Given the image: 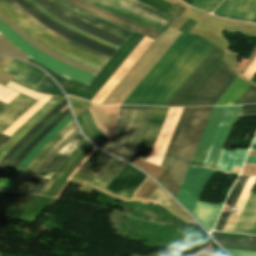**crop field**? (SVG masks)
<instances>
[{"label": "crop field", "mask_w": 256, "mask_h": 256, "mask_svg": "<svg viewBox=\"0 0 256 256\" xmlns=\"http://www.w3.org/2000/svg\"><path fill=\"white\" fill-rule=\"evenodd\" d=\"M222 204L212 205L198 202L192 215L209 231L215 222Z\"/></svg>", "instance_id": "730fd06b"}, {"label": "crop field", "mask_w": 256, "mask_h": 256, "mask_svg": "<svg viewBox=\"0 0 256 256\" xmlns=\"http://www.w3.org/2000/svg\"><path fill=\"white\" fill-rule=\"evenodd\" d=\"M250 149L256 150V137ZM245 163L256 164V156L248 155Z\"/></svg>", "instance_id": "25e5ab78"}, {"label": "crop field", "mask_w": 256, "mask_h": 256, "mask_svg": "<svg viewBox=\"0 0 256 256\" xmlns=\"http://www.w3.org/2000/svg\"><path fill=\"white\" fill-rule=\"evenodd\" d=\"M36 3H38L40 6H42L44 9H46L48 12L52 13L53 15H55L56 17L64 20L65 22L78 27L94 36H97L105 41H108L116 46H120L124 39L115 36L109 32H106L104 30H101L97 27H94L76 17H73L69 14H67L66 12H64L63 10L57 8L55 5H53L52 3L48 2L47 0H34Z\"/></svg>", "instance_id": "cbeb9de0"}, {"label": "crop field", "mask_w": 256, "mask_h": 256, "mask_svg": "<svg viewBox=\"0 0 256 256\" xmlns=\"http://www.w3.org/2000/svg\"><path fill=\"white\" fill-rule=\"evenodd\" d=\"M154 107L121 106L110 140L101 148L132 163Z\"/></svg>", "instance_id": "f4fd0767"}, {"label": "crop field", "mask_w": 256, "mask_h": 256, "mask_svg": "<svg viewBox=\"0 0 256 256\" xmlns=\"http://www.w3.org/2000/svg\"><path fill=\"white\" fill-rule=\"evenodd\" d=\"M249 84L236 79L235 82L229 87V89L223 94V96L217 101L215 105H230L235 104L238 98L248 88Z\"/></svg>", "instance_id": "1d83c4d3"}, {"label": "crop field", "mask_w": 256, "mask_h": 256, "mask_svg": "<svg viewBox=\"0 0 256 256\" xmlns=\"http://www.w3.org/2000/svg\"><path fill=\"white\" fill-rule=\"evenodd\" d=\"M214 47L182 32L123 104L166 106Z\"/></svg>", "instance_id": "8a807250"}, {"label": "crop field", "mask_w": 256, "mask_h": 256, "mask_svg": "<svg viewBox=\"0 0 256 256\" xmlns=\"http://www.w3.org/2000/svg\"><path fill=\"white\" fill-rule=\"evenodd\" d=\"M6 1L7 3L11 4L14 8H16L19 12H21L23 15H25L27 18H29L31 21H33L35 24H37L40 28H42L44 31L48 32L49 34L55 36L56 38H58L59 40L67 43V44H70L78 49H81L89 54H93V55H96L98 57H101V58H104V59H107L109 60L110 56H107V55H104L102 53H99V52H96V51H93V50H90V49H87V48H84L72 41H69L67 39H65L64 37L60 36L59 34L49 30L48 28L44 27L42 24H40L37 20H35L31 15H29L25 10H23L20 6L16 5L15 3L11 2L10 0H4Z\"/></svg>", "instance_id": "bd1437ed"}, {"label": "crop field", "mask_w": 256, "mask_h": 256, "mask_svg": "<svg viewBox=\"0 0 256 256\" xmlns=\"http://www.w3.org/2000/svg\"><path fill=\"white\" fill-rule=\"evenodd\" d=\"M49 1H51L53 4H55L57 7L61 8V9H63L64 11H66L82 20H85L99 28L109 31L115 35H118L124 39H126L132 33V31H130V30H127L118 25L109 23V22L101 20L93 15H90L87 12L73 6L72 4L68 3L65 0H49Z\"/></svg>", "instance_id": "bc2a9ffb"}, {"label": "crop field", "mask_w": 256, "mask_h": 256, "mask_svg": "<svg viewBox=\"0 0 256 256\" xmlns=\"http://www.w3.org/2000/svg\"><path fill=\"white\" fill-rule=\"evenodd\" d=\"M69 109L65 110L60 116H58L51 124H49L12 162L10 168H17L23 158L32 150V148L46 135L48 134L58 123H60L68 114Z\"/></svg>", "instance_id": "750c4746"}, {"label": "crop field", "mask_w": 256, "mask_h": 256, "mask_svg": "<svg viewBox=\"0 0 256 256\" xmlns=\"http://www.w3.org/2000/svg\"><path fill=\"white\" fill-rule=\"evenodd\" d=\"M84 138L79 134L74 136L69 142L57 153V155L50 161V163L44 168L41 174L37 177L34 183L28 190L29 193L39 194L43 187L48 182L51 175L65 159V157L83 140Z\"/></svg>", "instance_id": "4a817a6b"}, {"label": "crop field", "mask_w": 256, "mask_h": 256, "mask_svg": "<svg viewBox=\"0 0 256 256\" xmlns=\"http://www.w3.org/2000/svg\"><path fill=\"white\" fill-rule=\"evenodd\" d=\"M255 73H256V56L254 57L247 71L243 75L250 80Z\"/></svg>", "instance_id": "5d738f31"}, {"label": "crop field", "mask_w": 256, "mask_h": 256, "mask_svg": "<svg viewBox=\"0 0 256 256\" xmlns=\"http://www.w3.org/2000/svg\"><path fill=\"white\" fill-rule=\"evenodd\" d=\"M244 103H256V88L252 87L251 85L241 96V98L237 101L236 104Z\"/></svg>", "instance_id": "c035e120"}, {"label": "crop field", "mask_w": 256, "mask_h": 256, "mask_svg": "<svg viewBox=\"0 0 256 256\" xmlns=\"http://www.w3.org/2000/svg\"><path fill=\"white\" fill-rule=\"evenodd\" d=\"M35 197L34 195L25 194L8 216L19 219Z\"/></svg>", "instance_id": "0bd39190"}, {"label": "crop field", "mask_w": 256, "mask_h": 256, "mask_svg": "<svg viewBox=\"0 0 256 256\" xmlns=\"http://www.w3.org/2000/svg\"><path fill=\"white\" fill-rule=\"evenodd\" d=\"M232 256H256V252L229 250L226 249Z\"/></svg>", "instance_id": "425ffa30"}, {"label": "crop field", "mask_w": 256, "mask_h": 256, "mask_svg": "<svg viewBox=\"0 0 256 256\" xmlns=\"http://www.w3.org/2000/svg\"><path fill=\"white\" fill-rule=\"evenodd\" d=\"M36 92L64 98L59 87L47 75L37 87Z\"/></svg>", "instance_id": "028f5c9d"}, {"label": "crop field", "mask_w": 256, "mask_h": 256, "mask_svg": "<svg viewBox=\"0 0 256 256\" xmlns=\"http://www.w3.org/2000/svg\"><path fill=\"white\" fill-rule=\"evenodd\" d=\"M213 107L184 108L161 167L167 168L156 180L176 197L186 170Z\"/></svg>", "instance_id": "ac0d7876"}, {"label": "crop field", "mask_w": 256, "mask_h": 256, "mask_svg": "<svg viewBox=\"0 0 256 256\" xmlns=\"http://www.w3.org/2000/svg\"><path fill=\"white\" fill-rule=\"evenodd\" d=\"M26 1L29 2V3H31L32 5H34L37 9H39L42 13H44L45 15H47L49 18H51L52 20H54V21L58 22L59 24L65 26L66 28H68V29H70V30H72V31H74V32H76V33H78V34H81V35H83V36H85V37H88V38H90V39H93V40H95V41H97V42H100V43H102V44H104V45H106V46H109V47H111V48H113V49H115V50L118 49V47H116V46H114V45H112V44H110V43H107V42H105V41H103V40H101V39H99V38H97V37H94V36H92V35H90V34L84 32V31H82V30H80V29H78V28H75V27H73V26H71V25L65 23L64 21H62V20L56 18L55 16L51 15V14L48 13L46 10H44L42 7H40L38 4H36L34 1H32V0H26Z\"/></svg>", "instance_id": "5866460e"}, {"label": "crop field", "mask_w": 256, "mask_h": 256, "mask_svg": "<svg viewBox=\"0 0 256 256\" xmlns=\"http://www.w3.org/2000/svg\"><path fill=\"white\" fill-rule=\"evenodd\" d=\"M65 99L58 104L52 111H50L40 122L32 127V129L16 144L14 145L5 155L0 163V173L5 167L12 155L42 126L44 125L53 115H55L62 107L66 105Z\"/></svg>", "instance_id": "ae1a2a85"}, {"label": "crop field", "mask_w": 256, "mask_h": 256, "mask_svg": "<svg viewBox=\"0 0 256 256\" xmlns=\"http://www.w3.org/2000/svg\"><path fill=\"white\" fill-rule=\"evenodd\" d=\"M89 143L84 139L68 156L67 158L62 162V164L58 167V169L55 171V173L52 175L50 181L47 183V185L44 187V189L41 191V195H44V193L47 191L49 186L52 184V182L55 180L56 177H60V175L64 172V170L68 167V165L71 163V161L88 145Z\"/></svg>", "instance_id": "d32e631a"}, {"label": "crop field", "mask_w": 256, "mask_h": 256, "mask_svg": "<svg viewBox=\"0 0 256 256\" xmlns=\"http://www.w3.org/2000/svg\"><path fill=\"white\" fill-rule=\"evenodd\" d=\"M254 22H256V19H255V21Z\"/></svg>", "instance_id": "dbb93151"}, {"label": "crop field", "mask_w": 256, "mask_h": 256, "mask_svg": "<svg viewBox=\"0 0 256 256\" xmlns=\"http://www.w3.org/2000/svg\"><path fill=\"white\" fill-rule=\"evenodd\" d=\"M183 1L190 5L194 0H183Z\"/></svg>", "instance_id": "89e229c0"}, {"label": "crop field", "mask_w": 256, "mask_h": 256, "mask_svg": "<svg viewBox=\"0 0 256 256\" xmlns=\"http://www.w3.org/2000/svg\"><path fill=\"white\" fill-rule=\"evenodd\" d=\"M146 177L135 168L126 164L111 182L107 191L132 198Z\"/></svg>", "instance_id": "5142ce71"}, {"label": "crop field", "mask_w": 256, "mask_h": 256, "mask_svg": "<svg viewBox=\"0 0 256 256\" xmlns=\"http://www.w3.org/2000/svg\"><path fill=\"white\" fill-rule=\"evenodd\" d=\"M15 2L16 4L20 5L22 8H24L28 13H30L34 18H36L40 23H42L44 26L54 30L55 32L59 33L60 35L79 43L83 46H86L90 49L102 52L104 54L112 56L115 50L108 48L102 44H99L95 41H92L88 38H85L81 35H78L65 27L59 25L58 23L52 21L48 17H46L44 14H42L39 10H37L34 6L30 5L24 0H11Z\"/></svg>", "instance_id": "22f410ed"}, {"label": "crop field", "mask_w": 256, "mask_h": 256, "mask_svg": "<svg viewBox=\"0 0 256 256\" xmlns=\"http://www.w3.org/2000/svg\"><path fill=\"white\" fill-rule=\"evenodd\" d=\"M83 133L86 135V137L91 140L93 143L97 145H102L106 141H108L102 133L98 130V128L95 126L90 112L87 110L78 117H76Z\"/></svg>", "instance_id": "eef30255"}, {"label": "crop field", "mask_w": 256, "mask_h": 256, "mask_svg": "<svg viewBox=\"0 0 256 256\" xmlns=\"http://www.w3.org/2000/svg\"><path fill=\"white\" fill-rule=\"evenodd\" d=\"M125 164L126 163L113 157L112 160L106 165V167L94 179L93 183L106 189L112 179L117 175V173Z\"/></svg>", "instance_id": "d3111659"}, {"label": "crop field", "mask_w": 256, "mask_h": 256, "mask_svg": "<svg viewBox=\"0 0 256 256\" xmlns=\"http://www.w3.org/2000/svg\"><path fill=\"white\" fill-rule=\"evenodd\" d=\"M76 132H78V130L72 120L59 134L50 140L29 163L15 186L12 188V191L26 192L46 164Z\"/></svg>", "instance_id": "3316defc"}, {"label": "crop field", "mask_w": 256, "mask_h": 256, "mask_svg": "<svg viewBox=\"0 0 256 256\" xmlns=\"http://www.w3.org/2000/svg\"><path fill=\"white\" fill-rule=\"evenodd\" d=\"M67 1L86 10L90 14L96 15L104 20L118 24V25L123 26L127 29H130L132 31H135L140 34L151 37L153 39H155L157 36H159L161 34V32H159V31L145 27L143 25H140L138 23H135L133 21H130L128 19H125V18L115 15L113 13H110L108 11H105L101 8L93 7L82 0H67Z\"/></svg>", "instance_id": "d9b57169"}, {"label": "crop field", "mask_w": 256, "mask_h": 256, "mask_svg": "<svg viewBox=\"0 0 256 256\" xmlns=\"http://www.w3.org/2000/svg\"><path fill=\"white\" fill-rule=\"evenodd\" d=\"M214 238H215L219 243L256 247V242H255V241H245V240H236V239H227V238H217V237H214Z\"/></svg>", "instance_id": "c21b1889"}, {"label": "crop field", "mask_w": 256, "mask_h": 256, "mask_svg": "<svg viewBox=\"0 0 256 256\" xmlns=\"http://www.w3.org/2000/svg\"><path fill=\"white\" fill-rule=\"evenodd\" d=\"M161 188V187H160ZM158 187L157 191L152 197V200L161 202L163 204L168 205L169 207L180 211L181 213L189 216L166 192ZM190 217V216H189Z\"/></svg>", "instance_id": "e1f06a70"}, {"label": "crop field", "mask_w": 256, "mask_h": 256, "mask_svg": "<svg viewBox=\"0 0 256 256\" xmlns=\"http://www.w3.org/2000/svg\"><path fill=\"white\" fill-rule=\"evenodd\" d=\"M72 120L70 114L57 126L55 127L47 136H45L35 147L34 149L24 158L21 165L16 169L13 176L3 188V190H11L13 185L18 180L24 168L28 165V163L35 157V155L43 148V146L53 137L55 136L65 125H67Z\"/></svg>", "instance_id": "a9b5d70f"}, {"label": "crop field", "mask_w": 256, "mask_h": 256, "mask_svg": "<svg viewBox=\"0 0 256 256\" xmlns=\"http://www.w3.org/2000/svg\"><path fill=\"white\" fill-rule=\"evenodd\" d=\"M63 99L58 97H53L45 105H43L24 125H22L14 134L7 138L0 135V161L6 154V152L23 136L25 135L31 127L41 120L50 110H52L59 102Z\"/></svg>", "instance_id": "214f88e0"}, {"label": "crop field", "mask_w": 256, "mask_h": 256, "mask_svg": "<svg viewBox=\"0 0 256 256\" xmlns=\"http://www.w3.org/2000/svg\"><path fill=\"white\" fill-rule=\"evenodd\" d=\"M250 240H255L256 241V236L255 235H251Z\"/></svg>", "instance_id": "1f2cbd36"}, {"label": "crop field", "mask_w": 256, "mask_h": 256, "mask_svg": "<svg viewBox=\"0 0 256 256\" xmlns=\"http://www.w3.org/2000/svg\"><path fill=\"white\" fill-rule=\"evenodd\" d=\"M242 105L214 107L192 160L217 165L227 136ZM256 114V105H243L239 115ZM192 161V165L215 169V165Z\"/></svg>", "instance_id": "412701ff"}, {"label": "crop field", "mask_w": 256, "mask_h": 256, "mask_svg": "<svg viewBox=\"0 0 256 256\" xmlns=\"http://www.w3.org/2000/svg\"><path fill=\"white\" fill-rule=\"evenodd\" d=\"M6 86H8L10 88H13V89H15L17 91H20V92H22L24 94H27V95H29V96L37 99V100H39L43 96V94L32 92V91H30L28 89H25V88H23V87H21L19 85H16V84L12 83L10 81L6 84Z\"/></svg>", "instance_id": "03da06ac"}, {"label": "crop field", "mask_w": 256, "mask_h": 256, "mask_svg": "<svg viewBox=\"0 0 256 256\" xmlns=\"http://www.w3.org/2000/svg\"><path fill=\"white\" fill-rule=\"evenodd\" d=\"M232 231L256 233V193H250Z\"/></svg>", "instance_id": "00972430"}, {"label": "crop field", "mask_w": 256, "mask_h": 256, "mask_svg": "<svg viewBox=\"0 0 256 256\" xmlns=\"http://www.w3.org/2000/svg\"><path fill=\"white\" fill-rule=\"evenodd\" d=\"M142 38L143 36L133 32L110 58L106 65L99 71L89 86L69 80L63 87L66 94L91 101L127 56L132 52V50L137 46V44L142 40Z\"/></svg>", "instance_id": "d8731c3e"}, {"label": "crop field", "mask_w": 256, "mask_h": 256, "mask_svg": "<svg viewBox=\"0 0 256 256\" xmlns=\"http://www.w3.org/2000/svg\"><path fill=\"white\" fill-rule=\"evenodd\" d=\"M247 150L235 149L232 152L224 149L216 169L239 174Z\"/></svg>", "instance_id": "4177f3b9"}, {"label": "crop field", "mask_w": 256, "mask_h": 256, "mask_svg": "<svg viewBox=\"0 0 256 256\" xmlns=\"http://www.w3.org/2000/svg\"><path fill=\"white\" fill-rule=\"evenodd\" d=\"M229 213H226V212H222L215 227H214V230H221L227 217H228Z\"/></svg>", "instance_id": "d23c7cc5"}, {"label": "crop field", "mask_w": 256, "mask_h": 256, "mask_svg": "<svg viewBox=\"0 0 256 256\" xmlns=\"http://www.w3.org/2000/svg\"><path fill=\"white\" fill-rule=\"evenodd\" d=\"M213 170L190 165L176 199L192 214L198 197Z\"/></svg>", "instance_id": "d1516ede"}, {"label": "crop field", "mask_w": 256, "mask_h": 256, "mask_svg": "<svg viewBox=\"0 0 256 256\" xmlns=\"http://www.w3.org/2000/svg\"><path fill=\"white\" fill-rule=\"evenodd\" d=\"M36 100L19 94L7 106L0 102V133L20 117Z\"/></svg>", "instance_id": "dafd665d"}, {"label": "crop field", "mask_w": 256, "mask_h": 256, "mask_svg": "<svg viewBox=\"0 0 256 256\" xmlns=\"http://www.w3.org/2000/svg\"><path fill=\"white\" fill-rule=\"evenodd\" d=\"M236 78L215 47L167 106L214 105Z\"/></svg>", "instance_id": "34b2d1b8"}, {"label": "crop field", "mask_w": 256, "mask_h": 256, "mask_svg": "<svg viewBox=\"0 0 256 256\" xmlns=\"http://www.w3.org/2000/svg\"><path fill=\"white\" fill-rule=\"evenodd\" d=\"M169 108L155 107L151 122L148 126V129L145 133L139 151L136 155V159L146 161L153 144L157 138V135L160 131V128L164 122L167 111Z\"/></svg>", "instance_id": "92a150f3"}, {"label": "crop field", "mask_w": 256, "mask_h": 256, "mask_svg": "<svg viewBox=\"0 0 256 256\" xmlns=\"http://www.w3.org/2000/svg\"><path fill=\"white\" fill-rule=\"evenodd\" d=\"M0 12L34 41L78 64L100 70L107 62L53 38L3 0H0Z\"/></svg>", "instance_id": "dd49c442"}, {"label": "crop field", "mask_w": 256, "mask_h": 256, "mask_svg": "<svg viewBox=\"0 0 256 256\" xmlns=\"http://www.w3.org/2000/svg\"><path fill=\"white\" fill-rule=\"evenodd\" d=\"M8 193L0 192V202L6 197Z\"/></svg>", "instance_id": "73cf0c24"}, {"label": "crop field", "mask_w": 256, "mask_h": 256, "mask_svg": "<svg viewBox=\"0 0 256 256\" xmlns=\"http://www.w3.org/2000/svg\"><path fill=\"white\" fill-rule=\"evenodd\" d=\"M94 6L163 32L176 19L139 0H84Z\"/></svg>", "instance_id": "e52e79f7"}, {"label": "crop field", "mask_w": 256, "mask_h": 256, "mask_svg": "<svg viewBox=\"0 0 256 256\" xmlns=\"http://www.w3.org/2000/svg\"><path fill=\"white\" fill-rule=\"evenodd\" d=\"M109 160L110 158L95 151L84 162L80 169L97 175Z\"/></svg>", "instance_id": "120bbe31"}, {"label": "crop field", "mask_w": 256, "mask_h": 256, "mask_svg": "<svg viewBox=\"0 0 256 256\" xmlns=\"http://www.w3.org/2000/svg\"><path fill=\"white\" fill-rule=\"evenodd\" d=\"M3 70L15 75L11 81L32 91H34L42 78L46 75L41 70L23 61L17 60H13Z\"/></svg>", "instance_id": "733c2abd"}, {"label": "crop field", "mask_w": 256, "mask_h": 256, "mask_svg": "<svg viewBox=\"0 0 256 256\" xmlns=\"http://www.w3.org/2000/svg\"><path fill=\"white\" fill-rule=\"evenodd\" d=\"M0 33L14 46L20 49L29 57L38 61L45 67L53 70L54 72L71 78L75 81L89 85L92 79L95 77L94 74H89L82 72L80 70L74 69L64 63H61L48 55L38 51L29 43L24 41L13 29H11L5 22L0 19Z\"/></svg>", "instance_id": "5a996713"}, {"label": "crop field", "mask_w": 256, "mask_h": 256, "mask_svg": "<svg viewBox=\"0 0 256 256\" xmlns=\"http://www.w3.org/2000/svg\"><path fill=\"white\" fill-rule=\"evenodd\" d=\"M28 61H31V62H33V63H35V64H37V65L43 67L45 70H47V71L57 80V82H58L62 87H63L64 84L67 82L68 79H66V78H64V77H62V76H60V75H58V74H56V73H54V72L48 70L47 68H45V67L42 66L41 64L37 63L36 61L32 60L31 58L28 59Z\"/></svg>", "instance_id": "b54c1fbb"}, {"label": "crop field", "mask_w": 256, "mask_h": 256, "mask_svg": "<svg viewBox=\"0 0 256 256\" xmlns=\"http://www.w3.org/2000/svg\"><path fill=\"white\" fill-rule=\"evenodd\" d=\"M220 1L221 0H196L193 6L210 12ZM213 13L227 18L253 22L256 16V0H224Z\"/></svg>", "instance_id": "28ad6ade"}, {"label": "crop field", "mask_w": 256, "mask_h": 256, "mask_svg": "<svg viewBox=\"0 0 256 256\" xmlns=\"http://www.w3.org/2000/svg\"><path fill=\"white\" fill-rule=\"evenodd\" d=\"M248 176H240L225 204L233 206Z\"/></svg>", "instance_id": "b80d0937"}]
</instances>
